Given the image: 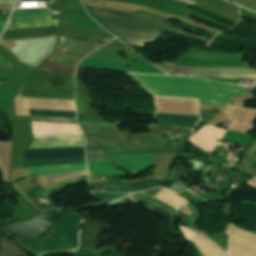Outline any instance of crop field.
<instances>
[{"label": "crop field", "mask_w": 256, "mask_h": 256, "mask_svg": "<svg viewBox=\"0 0 256 256\" xmlns=\"http://www.w3.org/2000/svg\"><path fill=\"white\" fill-rule=\"evenodd\" d=\"M130 75L156 96L198 98L205 106L224 107L233 97L249 92L238 85L199 78Z\"/></svg>", "instance_id": "obj_1"}, {"label": "crop field", "mask_w": 256, "mask_h": 256, "mask_svg": "<svg viewBox=\"0 0 256 256\" xmlns=\"http://www.w3.org/2000/svg\"><path fill=\"white\" fill-rule=\"evenodd\" d=\"M87 8L94 19L127 44L143 46L144 42H156L163 30L178 32L167 20L153 16Z\"/></svg>", "instance_id": "obj_2"}, {"label": "crop field", "mask_w": 256, "mask_h": 256, "mask_svg": "<svg viewBox=\"0 0 256 256\" xmlns=\"http://www.w3.org/2000/svg\"><path fill=\"white\" fill-rule=\"evenodd\" d=\"M80 126L86 136L87 144L104 145H138V139L161 138L159 136L160 133L168 135L170 138H180L191 130L188 128L153 124L149 126L153 133L132 134L131 131H118L117 127ZM131 136L133 140H126Z\"/></svg>", "instance_id": "obj_3"}, {"label": "crop field", "mask_w": 256, "mask_h": 256, "mask_svg": "<svg viewBox=\"0 0 256 256\" xmlns=\"http://www.w3.org/2000/svg\"><path fill=\"white\" fill-rule=\"evenodd\" d=\"M82 216V214L76 213L61 218L52 234L42 240L27 241L21 238L17 241L37 256L51 252L75 250L78 245Z\"/></svg>", "instance_id": "obj_4"}, {"label": "crop field", "mask_w": 256, "mask_h": 256, "mask_svg": "<svg viewBox=\"0 0 256 256\" xmlns=\"http://www.w3.org/2000/svg\"><path fill=\"white\" fill-rule=\"evenodd\" d=\"M95 49L60 42L57 52L38 70L74 77L77 64Z\"/></svg>", "instance_id": "obj_5"}, {"label": "crop field", "mask_w": 256, "mask_h": 256, "mask_svg": "<svg viewBox=\"0 0 256 256\" xmlns=\"http://www.w3.org/2000/svg\"><path fill=\"white\" fill-rule=\"evenodd\" d=\"M160 68L167 69H193V76L208 78H226V79H253L256 80V71L250 68H209V67H191V66H173L158 65Z\"/></svg>", "instance_id": "obj_6"}, {"label": "crop field", "mask_w": 256, "mask_h": 256, "mask_svg": "<svg viewBox=\"0 0 256 256\" xmlns=\"http://www.w3.org/2000/svg\"><path fill=\"white\" fill-rule=\"evenodd\" d=\"M242 58L243 56L212 55L191 50L178 62L166 63L208 66H247L246 62H240Z\"/></svg>", "instance_id": "obj_7"}, {"label": "crop field", "mask_w": 256, "mask_h": 256, "mask_svg": "<svg viewBox=\"0 0 256 256\" xmlns=\"http://www.w3.org/2000/svg\"><path fill=\"white\" fill-rule=\"evenodd\" d=\"M231 256H256V234L246 232L235 225L228 230Z\"/></svg>", "instance_id": "obj_8"}, {"label": "crop field", "mask_w": 256, "mask_h": 256, "mask_svg": "<svg viewBox=\"0 0 256 256\" xmlns=\"http://www.w3.org/2000/svg\"><path fill=\"white\" fill-rule=\"evenodd\" d=\"M152 142L146 140L139 142V146H102L106 147V151H87V156L91 155H103V152H108L109 155H124V154H134V153H148V148H161L166 147L167 139H151ZM87 146H97V145H87ZM128 150V151H125ZM120 151H123L122 153Z\"/></svg>", "instance_id": "obj_9"}, {"label": "crop field", "mask_w": 256, "mask_h": 256, "mask_svg": "<svg viewBox=\"0 0 256 256\" xmlns=\"http://www.w3.org/2000/svg\"><path fill=\"white\" fill-rule=\"evenodd\" d=\"M85 147L26 150L25 161L85 156Z\"/></svg>", "instance_id": "obj_10"}, {"label": "crop field", "mask_w": 256, "mask_h": 256, "mask_svg": "<svg viewBox=\"0 0 256 256\" xmlns=\"http://www.w3.org/2000/svg\"><path fill=\"white\" fill-rule=\"evenodd\" d=\"M225 132L226 129L206 125L190 140L199 148L211 152L216 147L217 141L221 140Z\"/></svg>", "instance_id": "obj_11"}, {"label": "crop field", "mask_w": 256, "mask_h": 256, "mask_svg": "<svg viewBox=\"0 0 256 256\" xmlns=\"http://www.w3.org/2000/svg\"><path fill=\"white\" fill-rule=\"evenodd\" d=\"M111 183L114 184V188H111ZM163 183L164 181L156 179H148L129 183L107 181L103 186L105 187V192H142L159 186H163ZM115 185H117V187H115Z\"/></svg>", "instance_id": "obj_12"}, {"label": "crop field", "mask_w": 256, "mask_h": 256, "mask_svg": "<svg viewBox=\"0 0 256 256\" xmlns=\"http://www.w3.org/2000/svg\"><path fill=\"white\" fill-rule=\"evenodd\" d=\"M105 228V225L92 221L91 216L87 215L85 225L80 235V246L97 250L100 245L99 233H103Z\"/></svg>", "instance_id": "obj_13"}, {"label": "crop field", "mask_w": 256, "mask_h": 256, "mask_svg": "<svg viewBox=\"0 0 256 256\" xmlns=\"http://www.w3.org/2000/svg\"><path fill=\"white\" fill-rule=\"evenodd\" d=\"M33 134L83 135L79 126L32 122Z\"/></svg>", "instance_id": "obj_14"}, {"label": "crop field", "mask_w": 256, "mask_h": 256, "mask_svg": "<svg viewBox=\"0 0 256 256\" xmlns=\"http://www.w3.org/2000/svg\"><path fill=\"white\" fill-rule=\"evenodd\" d=\"M80 65L83 66H91V67H99V68H107V69H114V70H122V71H130V72H138L141 73L145 71L146 73H156V74H165L161 72L154 66H147V65H135L131 64L133 70L125 69V64L121 63H112V62H104V61H96V60H89L86 59Z\"/></svg>", "instance_id": "obj_15"}, {"label": "crop field", "mask_w": 256, "mask_h": 256, "mask_svg": "<svg viewBox=\"0 0 256 256\" xmlns=\"http://www.w3.org/2000/svg\"><path fill=\"white\" fill-rule=\"evenodd\" d=\"M51 16L11 19L6 30L57 26Z\"/></svg>", "instance_id": "obj_16"}, {"label": "crop field", "mask_w": 256, "mask_h": 256, "mask_svg": "<svg viewBox=\"0 0 256 256\" xmlns=\"http://www.w3.org/2000/svg\"><path fill=\"white\" fill-rule=\"evenodd\" d=\"M87 69L79 68L78 77L76 82L77 87V102L79 113L78 114H88V115H97L92 109L84 88V78Z\"/></svg>", "instance_id": "obj_17"}, {"label": "crop field", "mask_w": 256, "mask_h": 256, "mask_svg": "<svg viewBox=\"0 0 256 256\" xmlns=\"http://www.w3.org/2000/svg\"><path fill=\"white\" fill-rule=\"evenodd\" d=\"M57 27L6 31L2 40L56 35Z\"/></svg>", "instance_id": "obj_18"}, {"label": "crop field", "mask_w": 256, "mask_h": 256, "mask_svg": "<svg viewBox=\"0 0 256 256\" xmlns=\"http://www.w3.org/2000/svg\"><path fill=\"white\" fill-rule=\"evenodd\" d=\"M25 170L46 175V174H58L63 172H71V171H81L86 170V164L80 165H67V166H52V167H34V168H25Z\"/></svg>", "instance_id": "obj_19"}, {"label": "crop field", "mask_w": 256, "mask_h": 256, "mask_svg": "<svg viewBox=\"0 0 256 256\" xmlns=\"http://www.w3.org/2000/svg\"><path fill=\"white\" fill-rule=\"evenodd\" d=\"M155 119H162L164 124L194 126L199 116L157 114Z\"/></svg>", "instance_id": "obj_20"}, {"label": "crop field", "mask_w": 256, "mask_h": 256, "mask_svg": "<svg viewBox=\"0 0 256 256\" xmlns=\"http://www.w3.org/2000/svg\"><path fill=\"white\" fill-rule=\"evenodd\" d=\"M255 153H256V141L254 140V142L248 149L246 155L244 154L245 156H244L243 160L236 167L235 171L243 172V170L248 165V163L250 162V160L252 159V157L254 156ZM254 165H256V154L253 157V159L251 160V162L249 163V165L244 170V173H247V172L251 171L252 169H254L255 168ZM248 174L254 176L256 174V169L252 170Z\"/></svg>", "instance_id": "obj_21"}, {"label": "crop field", "mask_w": 256, "mask_h": 256, "mask_svg": "<svg viewBox=\"0 0 256 256\" xmlns=\"http://www.w3.org/2000/svg\"><path fill=\"white\" fill-rule=\"evenodd\" d=\"M86 163L85 157L24 162L25 167Z\"/></svg>", "instance_id": "obj_22"}, {"label": "crop field", "mask_w": 256, "mask_h": 256, "mask_svg": "<svg viewBox=\"0 0 256 256\" xmlns=\"http://www.w3.org/2000/svg\"><path fill=\"white\" fill-rule=\"evenodd\" d=\"M111 40H113V39L99 37V36H93V35H87V34H84L81 40L73 39V38H65V37H61V39H60V41H63V42L84 44V45L97 46V47H101V46L105 45L106 43L110 42Z\"/></svg>", "instance_id": "obj_23"}, {"label": "crop field", "mask_w": 256, "mask_h": 256, "mask_svg": "<svg viewBox=\"0 0 256 256\" xmlns=\"http://www.w3.org/2000/svg\"><path fill=\"white\" fill-rule=\"evenodd\" d=\"M89 167L90 173L101 175H129L119 169H114L111 161L91 163Z\"/></svg>", "instance_id": "obj_24"}, {"label": "crop field", "mask_w": 256, "mask_h": 256, "mask_svg": "<svg viewBox=\"0 0 256 256\" xmlns=\"http://www.w3.org/2000/svg\"><path fill=\"white\" fill-rule=\"evenodd\" d=\"M224 140L247 147L248 144L253 140V136L229 130L227 135L225 136Z\"/></svg>", "instance_id": "obj_25"}, {"label": "crop field", "mask_w": 256, "mask_h": 256, "mask_svg": "<svg viewBox=\"0 0 256 256\" xmlns=\"http://www.w3.org/2000/svg\"><path fill=\"white\" fill-rule=\"evenodd\" d=\"M116 164L128 169V170H144L146 168H148L149 166H151L153 164L151 159H144V160H119V161H114ZM124 163H130L135 165V168H130V167H126L123 164Z\"/></svg>", "instance_id": "obj_26"}, {"label": "crop field", "mask_w": 256, "mask_h": 256, "mask_svg": "<svg viewBox=\"0 0 256 256\" xmlns=\"http://www.w3.org/2000/svg\"><path fill=\"white\" fill-rule=\"evenodd\" d=\"M31 115L75 118L77 112L29 110Z\"/></svg>", "instance_id": "obj_27"}, {"label": "crop field", "mask_w": 256, "mask_h": 256, "mask_svg": "<svg viewBox=\"0 0 256 256\" xmlns=\"http://www.w3.org/2000/svg\"><path fill=\"white\" fill-rule=\"evenodd\" d=\"M78 117H85L87 119L85 120H79V122H97V123H104L99 116H88V115H78ZM97 123H81V124H97ZM103 125H117V124H111V123H106Z\"/></svg>", "instance_id": "obj_28"}, {"label": "crop field", "mask_w": 256, "mask_h": 256, "mask_svg": "<svg viewBox=\"0 0 256 256\" xmlns=\"http://www.w3.org/2000/svg\"><path fill=\"white\" fill-rule=\"evenodd\" d=\"M158 154H147V155H130V156H106L107 159H132V158H147L157 157Z\"/></svg>", "instance_id": "obj_29"}, {"label": "crop field", "mask_w": 256, "mask_h": 256, "mask_svg": "<svg viewBox=\"0 0 256 256\" xmlns=\"http://www.w3.org/2000/svg\"><path fill=\"white\" fill-rule=\"evenodd\" d=\"M94 195L96 197H99L103 200H105V203H108L114 199H116L117 197L121 196L120 194H109V193H94Z\"/></svg>", "instance_id": "obj_30"}, {"label": "crop field", "mask_w": 256, "mask_h": 256, "mask_svg": "<svg viewBox=\"0 0 256 256\" xmlns=\"http://www.w3.org/2000/svg\"><path fill=\"white\" fill-rule=\"evenodd\" d=\"M169 189H171V190H173L175 192H178V191H180L182 189H188V187H187V185L184 182L179 180L178 182L170 185Z\"/></svg>", "instance_id": "obj_31"}, {"label": "crop field", "mask_w": 256, "mask_h": 256, "mask_svg": "<svg viewBox=\"0 0 256 256\" xmlns=\"http://www.w3.org/2000/svg\"><path fill=\"white\" fill-rule=\"evenodd\" d=\"M231 1L236 2V3H238V4H241V5H244V6H246V7H249V8H251V9H253V10L256 11L255 8L250 7V6L256 7V0H238V1H241V2H243V3H245V4H247V5H250V6H247V5H245V4H242V3L237 2V1H235V0H231Z\"/></svg>", "instance_id": "obj_32"}, {"label": "crop field", "mask_w": 256, "mask_h": 256, "mask_svg": "<svg viewBox=\"0 0 256 256\" xmlns=\"http://www.w3.org/2000/svg\"><path fill=\"white\" fill-rule=\"evenodd\" d=\"M186 163L191 164L193 166L192 170L199 171V172L201 170V167L205 164V163L197 162V161H194V160L188 161Z\"/></svg>", "instance_id": "obj_33"}, {"label": "crop field", "mask_w": 256, "mask_h": 256, "mask_svg": "<svg viewBox=\"0 0 256 256\" xmlns=\"http://www.w3.org/2000/svg\"><path fill=\"white\" fill-rule=\"evenodd\" d=\"M214 167V166H213ZM212 168V166H207L204 171H203V176H202V180L205 181V182H208L210 181L208 176L206 175L207 171L210 170ZM209 172V171H208Z\"/></svg>", "instance_id": "obj_34"}, {"label": "crop field", "mask_w": 256, "mask_h": 256, "mask_svg": "<svg viewBox=\"0 0 256 256\" xmlns=\"http://www.w3.org/2000/svg\"><path fill=\"white\" fill-rule=\"evenodd\" d=\"M104 47H110V48H120V49H126V50H131L130 48H128L127 46H122V45H114V44H108Z\"/></svg>", "instance_id": "obj_35"}, {"label": "crop field", "mask_w": 256, "mask_h": 256, "mask_svg": "<svg viewBox=\"0 0 256 256\" xmlns=\"http://www.w3.org/2000/svg\"><path fill=\"white\" fill-rule=\"evenodd\" d=\"M127 195H128V194H125V195H123V196L119 197L118 199H116V200H114V201L110 202V204H115V203H117V202H119V201L123 200Z\"/></svg>", "instance_id": "obj_36"}, {"label": "crop field", "mask_w": 256, "mask_h": 256, "mask_svg": "<svg viewBox=\"0 0 256 256\" xmlns=\"http://www.w3.org/2000/svg\"><path fill=\"white\" fill-rule=\"evenodd\" d=\"M160 189H161V188L155 189V190L146 191L145 193H149V194H151V195L154 196Z\"/></svg>", "instance_id": "obj_37"}, {"label": "crop field", "mask_w": 256, "mask_h": 256, "mask_svg": "<svg viewBox=\"0 0 256 256\" xmlns=\"http://www.w3.org/2000/svg\"><path fill=\"white\" fill-rule=\"evenodd\" d=\"M249 184L256 187V177L252 181H250Z\"/></svg>", "instance_id": "obj_38"}, {"label": "crop field", "mask_w": 256, "mask_h": 256, "mask_svg": "<svg viewBox=\"0 0 256 256\" xmlns=\"http://www.w3.org/2000/svg\"><path fill=\"white\" fill-rule=\"evenodd\" d=\"M21 1H52V0H19L18 2H21Z\"/></svg>", "instance_id": "obj_39"}, {"label": "crop field", "mask_w": 256, "mask_h": 256, "mask_svg": "<svg viewBox=\"0 0 256 256\" xmlns=\"http://www.w3.org/2000/svg\"><path fill=\"white\" fill-rule=\"evenodd\" d=\"M195 1H197V2H198V1H200V0H195Z\"/></svg>", "instance_id": "obj_40"}]
</instances>
